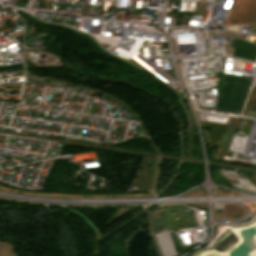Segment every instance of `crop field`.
Instances as JSON below:
<instances>
[{
	"mask_svg": "<svg viewBox=\"0 0 256 256\" xmlns=\"http://www.w3.org/2000/svg\"><path fill=\"white\" fill-rule=\"evenodd\" d=\"M256 9V0H235L223 25L248 24Z\"/></svg>",
	"mask_w": 256,
	"mask_h": 256,
	"instance_id": "obj_2",
	"label": "crop field"
},
{
	"mask_svg": "<svg viewBox=\"0 0 256 256\" xmlns=\"http://www.w3.org/2000/svg\"><path fill=\"white\" fill-rule=\"evenodd\" d=\"M250 23H256V11H255Z\"/></svg>",
	"mask_w": 256,
	"mask_h": 256,
	"instance_id": "obj_3",
	"label": "crop field"
},
{
	"mask_svg": "<svg viewBox=\"0 0 256 256\" xmlns=\"http://www.w3.org/2000/svg\"><path fill=\"white\" fill-rule=\"evenodd\" d=\"M253 77L224 73L215 110L239 113Z\"/></svg>",
	"mask_w": 256,
	"mask_h": 256,
	"instance_id": "obj_1",
	"label": "crop field"
}]
</instances>
